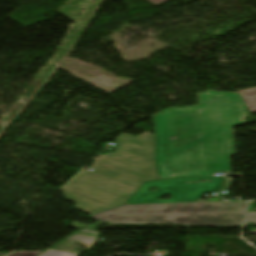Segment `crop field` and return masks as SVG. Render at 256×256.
I'll use <instances>...</instances> for the list:
<instances>
[{"mask_svg": "<svg viewBox=\"0 0 256 256\" xmlns=\"http://www.w3.org/2000/svg\"><path fill=\"white\" fill-rule=\"evenodd\" d=\"M199 105L169 107L153 115L154 160L160 179L225 172L235 153L232 127L245 124L239 93L206 90Z\"/></svg>", "mask_w": 256, "mask_h": 256, "instance_id": "crop-field-1", "label": "crop field"}, {"mask_svg": "<svg viewBox=\"0 0 256 256\" xmlns=\"http://www.w3.org/2000/svg\"><path fill=\"white\" fill-rule=\"evenodd\" d=\"M120 145L110 156L95 157L90 172L83 169L61 191L77 209L90 214L121 204L145 180L159 179L153 160L154 136L145 132L137 138L122 133Z\"/></svg>", "mask_w": 256, "mask_h": 256, "instance_id": "crop-field-2", "label": "crop field"}, {"mask_svg": "<svg viewBox=\"0 0 256 256\" xmlns=\"http://www.w3.org/2000/svg\"><path fill=\"white\" fill-rule=\"evenodd\" d=\"M247 202L121 205L90 218L113 224L241 227Z\"/></svg>", "mask_w": 256, "mask_h": 256, "instance_id": "crop-field-3", "label": "crop field"}, {"mask_svg": "<svg viewBox=\"0 0 256 256\" xmlns=\"http://www.w3.org/2000/svg\"><path fill=\"white\" fill-rule=\"evenodd\" d=\"M224 177L203 176L194 178L145 181L125 204L197 202L204 192L218 191ZM152 186L159 187L154 193ZM162 194L169 200L157 201Z\"/></svg>", "mask_w": 256, "mask_h": 256, "instance_id": "crop-field-4", "label": "crop field"}, {"mask_svg": "<svg viewBox=\"0 0 256 256\" xmlns=\"http://www.w3.org/2000/svg\"><path fill=\"white\" fill-rule=\"evenodd\" d=\"M244 98L251 113L256 112V88L239 92Z\"/></svg>", "mask_w": 256, "mask_h": 256, "instance_id": "crop-field-5", "label": "crop field"}, {"mask_svg": "<svg viewBox=\"0 0 256 256\" xmlns=\"http://www.w3.org/2000/svg\"><path fill=\"white\" fill-rule=\"evenodd\" d=\"M39 256H77L76 254L48 249Z\"/></svg>", "mask_w": 256, "mask_h": 256, "instance_id": "crop-field-6", "label": "crop field"}, {"mask_svg": "<svg viewBox=\"0 0 256 256\" xmlns=\"http://www.w3.org/2000/svg\"><path fill=\"white\" fill-rule=\"evenodd\" d=\"M253 210L254 202H250L246 221H251L256 225V213H253Z\"/></svg>", "mask_w": 256, "mask_h": 256, "instance_id": "crop-field-7", "label": "crop field"}, {"mask_svg": "<svg viewBox=\"0 0 256 256\" xmlns=\"http://www.w3.org/2000/svg\"><path fill=\"white\" fill-rule=\"evenodd\" d=\"M40 253L35 252H15L9 256H37Z\"/></svg>", "mask_w": 256, "mask_h": 256, "instance_id": "crop-field-8", "label": "crop field"}, {"mask_svg": "<svg viewBox=\"0 0 256 256\" xmlns=\"http://www.w3.org/2000/svg\"><path fill=\"white\" fill-rule=\"evenodd\" d=\"M231 179H232V178H227V180H226V183H225V186H224V189H223V190H228V189H229Z\"/></svg>", "mask_w": 256, "mask_h": 256, "instance_id": "crop-field-9", "label": "crop field"}, {"mask_svg": "<svg viewBox=\"0 0 256 256\" xmlns=\"http://www.w3.org/2000/svg\"><path fill=\"white\" fill-rule=\"evenodd\" d=\"M152 3H154L155 5H158L166 0H150Z\"/></svg>", "mask_w": 256, "mask_h": 256, "instance_id": "crop-field-10", "label": "crop field"}]
</instances>
